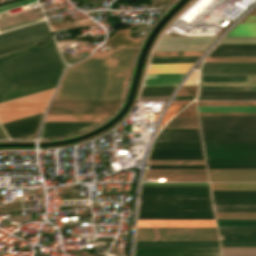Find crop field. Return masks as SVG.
Listing matches in <instances>:
<instances>
[{
    "instance_id": "obj_1",
    "label": "crop field",
    "mask_w": 256,
    "mask_h": 256,
    "mask_svg": "<svg viewBox=\"0 0 256 256\" xmlns=\"http://www.w3.org/2000/svg\"><path fill=\"white\" fill-rule=\"evenodd\" d=\"M136 46L94 52L71 66L53 99H121Z\"/></svg>"
},
{
    "instance_id": "obj_2",
    "label": "crop field",
    "mask_w": 256,
    "mask_h": 256,
    "mask_svg": "<svg viewBox=\"0 0 256 256\" xmlns=\"http://www.w3.org/2000/svg\"><path fill=\"white\" fill-rule=\"evenodd\" d=\"M67 64L55 42L0 57V102L55 88Z\"/></svg>"
},
{
    "instance_id": "obj_3",
    "label": "crop field",
    "mask_w": 256,
    "mask_h": 256,
    "mask_svg": "<svg viewBox=\"0 0 256 256\" xmlns=\"http://www.w3.org/2000/svg\"><path fill=\"white\" fill-rule=\"evenodd\" d=\"M47 22H39L0 35V54L53 41Z\"/></svg>"
},
{
    "instance_id": "obj_4",
    "label": "crop field",
    "mask_w": 256,
    "mask_h": 256,
    "mask_svg": "<svg viewBox=\"0 0 256 256\" xmlns=\"http://www.w3.org/2000/svg\"><path fill=\"white\" fill-rule=\"evenodd\" d=\"M55 89L0 104V124L44 112Z\"/></svg>"
},
{
    "instance_id": "obj_5",
    "label": "crop field",
    "mask_w": 256,
    "mask_h": 256,
    "mask_svg": "<svg viewBox=\"0 0 256 256\" xmlns=\"http://www.w3.org/2000/svg\"><path fill=\"white\" fill-rule=\"evenodd\" d=\"M136 240H218L215 228H137Z\"/></svg>"
},
{
    "instance_id": "obj_6",
    "label": "crop field",
    "mask_w": 256,
    "mask_h": 256,
    "mask_svg": "<svg viewBox=\"0 0 256 256\" xmlns=\"http://www.w3.org/2000/svg\"><path fill=\"white\" fill-rule=\"evenodd\" d=\"M119 100H52L47 114H110Z\"/></svg>"
},
{
    "instance_id": "obj_7",
    "label": "crop field",
    "mask_w": 256,
    "mask_h": 256,
    "mask_svg": "<svg viewBox=\"0 0 256 256\" xmlns=\"http://www.w3.org/2000/svg\"><path fill=\"white\" fill-rule=\"evenodd\" d=\"M206 159H256V143H203Z\"/></svg>"
},
{
    "instance_id": "obj_8",
    "label": "crop field",
    "mask_w": 256,
    "mask_h": 256,
    "mask_svg": "<svg viewBox=\"0 0 256 256\" xmlns=\"http://www.w3.org/2000/svg\"><path fill=\"white\" fill-rule=\"evenodd\" d=\"M203 142H256V129H201Z\"/></svg>"
},
{
    "instance_id": "obj_9",
    "label": "crop field",
    "mask_w": 256,
    "mask_h": 256,
    "mask_svg": "<svg viewBox=\"0 0 256 256\" xmlns=\"http://www.w3.org/2000/svg\"><path fill=\"white\" fill-rule=\"evenodd\" d=\"M134 256H220L219 248H135Z\"/></svg>"
},
{
    "instance_id": "obj_10",
    "label": "crop field",
    "mask_w": 256,
    "mask_h": 256,
    "mask_svg": "<svg viewBox=\"0 0 256 256\" xmlns=\"http://www.w3.org/2000/svg\"><path fill=\"white\" fill-rule=\"evenodd\" d=\"M200 74H256V62H204Z\"/></svg>"
},
{
    "instance_id": "obj_11",
    "label": "crop field",
    "mask_w": 256,
    "mask_h": 256,
    "mask_svg": "<svg viewBox=\"0 0 256 256\" xmlns=\"http://www.w3.org/2000/svg\"><path fill=\"white\" fill-rule=\"evenodd\" d=\"M144 178H165V181H207L205 170L148 169Z\"/></svg>"
},
{
    "instance_id": "obj_12",
    "label": "crop field",
    "mask_w": 256,
    "mask_h": 256,
    "mask_svg": "<svg viewBox=\"0 0 256 256\" xmlns=\"http://www.w3.org/2000/svg\"><path fill=\"white\" fill-rule=\"evenodd\" d=\"M154 142H201L198 129H163Z\"/></svg>"
},
{
    "instance_id": "obj_13",
    "label": "crop field",
    "mask_w": 256,
    "mask_h": 256,
    "mask_svg": "<svg viewBox=\"0 0 256 256\" xmlns=\"http://www.w3.org/2000/svg\"><path fill=\"white\" fill-rule=\"evenodd\" d=\"M137 227H215L214 220H138Z\"/></svg>"
},
{
    "instance_id": "obj_14",
    "label": "crop field",
    "mask_w": 256,
    "mask_h": 256,
    "mask_svg": "<svg viewBox=\"0 0 256 256\" xmlns=\"http://www.w3.org/2000/svg\"><path fill=\"white\" fill-rule=\"evenodd\" d=\"M247 75H202V77H246ZM256 78V75H249ZM202 81H246V78H202ZM256 81V79H249ZM246 83H202V85L245 86ZM248 86H256V83H248ZM245 87H202V90H244ZM248 90H256V87H248Z\"/></svg>"
},
{
    "instance_id": "obj_15",
    "label": "crop field",
    "mask_w": 256,
    "mask_h": 256,
    "mask_svg": "<svg viewBox=\"0 0 256 256\" xmlns=\"http://www.w3.org/2000/svg\"><path fill=\"white\" fill-rule=\"evenodd\" d=\"M210 181H256V170H208Z\"/></svg>"
},
{
    "instance_id": "obj_16",
    "label": "crop field",
    "mask_w": 256,
    "mask_h": 256,
    "mask_svg": "<svg viewBox=\"0 0 256 256\" xmlns=\"http://www.w3.org/2000/svg\"><path fill=\"white\" fill-rule=\"evenodd\" d=\"M214 203H256V191H212Z\"/></svg>"
},
{
    "instance_id": "obj_17",
    "label": "crop field",
    "mask_w": 256,
    "mask_h": 256,
    "mask_svg": "<svg viewBox=\"0 0 256 256\" xmlns=\"http://www.w3.org/2000/svg\"><path fill=\"white\" fill-rule=\"evenodd\" d=\"M135 247H219L218 241H136Z\"/></svg>"
},
{
    "instance_id": "obj_18",
    "label": "crop field",
    "mask_w": 256,
    "mask_h": 256,
    "mask_svg": "<svg viewBox=\"0 0 256 256\" xmlns=\"http://www.w3.org/2000/svg\"><path fill=\"white\" fill-rule=\"evenodd\" d=\"M138 219H214L213 213H139Z\"/></svg>"
},
{
    "instance_id": "obj_19",
    "label": "crop field",
    "mask_w": 256,
    "mask_h": 256,
    "mask_svg": "<svg viewBox=\"0 0 256 256\" xmlns=\"http://www.w3.org/2000/svg\"><path fill=\"white\" fill-rule=\"evenodd\" d=\"M185 73L147 74L144 86L178 85Z\"/></svg>"
},
{
    "instance_id": "obj_20",
    "label": "crop field",
    "mask_w": 256,
    "mask_h": 256,
    "mask_svg": "<svg viewBox=\"0 0 256 256\" xmlns=\"http://www.w3.org/2000/svg\"><path fill=\"white\" fill-rule=\"evenodd\" d=\"M140 38L130 37L129 29L117 30L116 33L107 39L106 44L118 49L126 46L138 44Z\"/></svg>"
},
{
    "instance_id": "obj_21",
    "label": "crop field",
    "mask_w": 256,
    "mask_h": 256,
    "mask_svg": "<svg viewBox=\"0 0 256 256\" xmlns=\"http://www.w3.org/2000/svg\"><path fill=\"white\" fill-rule=\"evenodd\" d=\"M192 64L193 63L150 64L147 73L187 72Z\"/></svg>"
},
{
    "instance_id": "obj_22",
    "label": "crop field",
    "mask_w": 256,
    "mask_h": 256,
    "mask_svg": "<svg viewBox=\"0 0 256 256\" xmlns=\"http://www.w3.org/2000/svg\"><path fill=\"white\" fill-rule=\"evenodd\" d=\"M107 115H47L45 121H100Z\"/></svg>"
},
{
    "instance_id": "obj_23",
    "label": "crop field",
    "mask_w": 256,
    "mask_h": 256,
    "mask_svg": "<svg viewBox=\"0 0 256 256\" xmlns=\"http://www.w3.org/2000/svg\"><path fill=\"white\" fill-rule=\"evenodd\" d=\"M198 112H256L249 106H197Z\"/></svg>"
},
{
    "instance_id": "obj_24",
    "label": "crop field",
    "mask_w": 256,
    "mask_h": 256,
    "mask_svg": "<svg viewBox=\"0 0 256 256\" xmlns=\"http://www.w3.org/2000/svg\"><path fill=\"white\" fill-rule=\"evenodd\" d=\"M212 190H256V183H210Z\"/></svg>"
},
{
    "instance_id": "obj_25",
    "label": "crop field",
    "mask_w": 256,
    "mask_h": 256,
    "mask_svg": "<svg viewBox=\"0 0 256 256\" xmlns=\"http://www.w3.org/2000/svg\"><path fill=\"white\" fill-rule=\"evenodd\" d=\"M209 57H256V50H213Z\"/></svg>"
},
{
    "instance_id": "obj_26",
    "label": "crop field",
    "mask_w": 256,
    "mask_h": 256,
    "mask_svg": "<svg viewBox=\"0 0 256 256\" xmlns=\"http://www.w3.org/2000/svg\"><path fill=\"white\" fill-rule=\"evenodd\" d=\"M85 128H42L39 138H50L77 132Z\"/></svg>"
},
{
    "instance_id": "obj_27",
    "label": "crop field",
    "mask_w": 256,
    "mask_h": 256,
    "mask_svg": "<svg viewBox=\"0 0 256 256\" xmlns=\"http://www.w3.org/2000/svg\"><path fill=\"white\" fill-rule=\"evenodd\" d=\"M165 128H199L197 118H173Z\"/></svg>"
},
{
    "instance_id": "obj_28",
    "label": "crop field",
    "mask_w": 256,
    "mask_h": 256,
    "mask_svg": "<svg viewBox=\"0 0 256 256\" xmlns=\"http://www.w3.org/2000/svg\"><path fill=\"white\" fill-rule=\"evenodd\" d=\"M177 86L143 87L141 96L172 95Z\"/></svg>"
},
{
    "instance_id": "obj_29",
    "label": "crop field",
    "mask_w": 256,
    "mask_h": 256,
    "mask_svg": "<svg viewBox=\"0 0 256 256\" xmlns=\"http://www.w3.org/2000/svg\"><path fill=\"white\" fill-rule=\"evenodd\" d=\"M226 36H256V24H238Z\"/></svg>"
},
{
    "instance_id": "obj_30",
    "label": "crop field",
    "mask_w": 256,
    "mask_h": 256,
    "mask_svg": "<svg viewBox=\"0 0 256 256\" xmlns=\"http://www.w3.org/2000/svg\"><path fill=\"white\" fill-rule=\"evenodd\" d=\"M200 56L152 57L150 63L195 62Z\"/></svg>"
},
{
    "instance_id": "obj_31",
    "label": "crop field",
    "mask_w": 256,
    "mask_h": 256,
    "mask_svg": "<svg viewBox=\"0 0 256 256\" xmlns=\"http://www.w3.org/2000/svg\"><path fill=\"white\" fill-rule=\"evenodd\" d=\"M97 122H44L42 127H89Z\"/></svg>"
},
{
    "instance_id": "obj_32",
    "label": "crop field",
    "mask_w": 256,
    "mask_h": 256,
    "mask_svg": "<svg viewBox=\"0 0 256 256\" xmlns=\"http://www.w3.org/2000/svg\"><path fill=\"white\" fill-rule=\"evenodd\" d=\"M216 219H256V213H215Z\"/></svg>"
},
{
    "instance_id": "obj_33",
    "label": "crop field",
    "mask_w": 256,
    "mask_h": 256,
    "mask_svg": "<svg viewBox=\"0 0 256 256\" xmlns=\"http://www.w3.org/2000/svg\"><path fill=\"white\" fill-rule=\"evenodd\" d=\"M218 226H256V220H216Z\"/></svg>"
},
{
    "instance_id": "obj_34",
    "label": "crop field",
    "mask_w": 256,
    "mask_h": 256,
    "mask_svg": "<svg viewBox=\"0 0 256 256\" xmlns=\"http://www.w3.org/2000/svg\"><path fill=\"white\" fill-rule=\"evenodd\" d=\"M200 95H256V91H200Z\"/></svg>"
},
{
    "instance_id": "obj_35",
    "label": "crop field",
    "mask_w": 256,
    "mask_h": 256,
    "mask_svg": "<svg viewBox=\"0 0 256 256\" xmlns=\"http://www.w3.org/2000/svg\"><path fill=\"white\" fill-rule=\"evenodd\" d=\"M221 247H256V241H220Z\"/></svg>"
},
{
    "instance_id": "obj_36",
    "label": "crop field",
    "mask_w": 256,
    "mask_h": 256,
    "mask_svg": "<svg viewBox=\"0 0 256 256\" xmlns=\"http://www.w3.org/2000/svg\"><path fill=\"white\" fill-rule=\"evenodd\" d=\"M207 164L256 165V160H206Z\"/></svg>"
},
{
    "instance_id": "obj_37",
    "label": "crop field",
    "mask_w": 256,
    "mask_h": 256,
    "mask_svg": "<svg viewBox=\"0 0 256 256\" xmlns=\"http://www.w3.org/2000/svg\"><path fill=\"white\" fill-rule=\"evenodd\" d=\"M140 194H210L209 191H141Z\"/></svg>"
},
{
    "instance_id": "obj_38",
    "label": "crop field",
    "mask_w": 256,
    "mask_h": 256,
    "mask_svg": "<svg viewBox=\"0 0 256 256\" xmlns=\"http://www.w3.org/2000/svg\"><path fill=\"white\" fill-rule=\"evenodd\" d=\"M220 43H256V37H224Z\"/></svg>"
},
{
    "instance_id": "obj_39",
    "label": "crop field",
    "mask_w": 256,
    "mask_h": 256,
    "mask_svg": "<svg viewBox=\"0 0 256 256\" xmlns=\"http://www.w3.org/2000/svg\"><path fill=\"white\" fill-rule=\"evenodd\" d=\"M141 190H209L208 187H142Z\"/></svg>"
},
{
    "instance_id": "obj_40",
    "label": "crop field",
    "mask_w": 256,
    "mask_h": 256,
    "mask_svg": "<svg viewBox=\"0 0 256 256\" xmlns=\"http://www.w3.org/2000/svg\"><path fill=\"white\" fill-rule=\"evenodd\" d=\"M148 164H205L204 161L148 160Z\"/></svg>"
},
{
    "instance_id": "obj_41",
    "label": "crop field",
    "mask_w": 256,
    "mask_h": 256,
    "mask_svg": "<svg viewBox=\"0 0 256 256\" xmlns=\"http://www.w3.org/2000/svg\"><path fill=\"white\" fill-rule=\"evenodd\" d=\"M204 51L154 52L152 56L202 55Z\"/></svg>"
},
{
    "instance_id": "obj_42",
    "label": "crop field",
    "mask_w": 256,
    "mask_h": 256,
    "mask_svg": "<svg viewBox=\"0 0 256 256\" xmlns=\"http://www.w3.org/2000/svg\"><path fill=\"white\" fill-rule=\"evenodd\" d=\"M149 168L205 169V165H149Z\"/></svg>"
},
{
    "instance_id": "obj_43",
    "label": "crop field",
    "mask_w": 256,
    "mask_h": 256,
    "mask_svg": "<svg viewBox=\"0 0 256 256\" xmlns=\"http://www.w3.org/2000/svg\"><path fill=\"white\" fill-rule=\"evenodd\" d=\"M142 186H208V183H143Z\"/></svg>"
},
{
    "instance_id": "obj_44",
    "label": "crop field",
    "mask_w": 256,
    "mask_h": 256,
    "mask_svg": "<svg viewBox=\"0 0 256 256\" xmlns=\"http://www.w3.org/2000/svg\"><path fill=\"white\" fill-rule=\"evenodd\" d=\"M197 105H250L256 106V102H196Z\"/></svg>"
},
{
    "instance_id": "obj_45",
    "label": "crop field",
    "mask_w": 256,
    "mask_h": 256,
    "mask_svg": "<svg viewBox=\"0 0 256 256\" xmlns=\"http://www.w3.org/2000/svg\"><path fill=\"white\" fill-rule=\"evenodd\" d=\"M208 169H256V166L241 165H207Z\"/></svg>"
},
{
    "instance_id": "obj_46",
    "label": "crop field",
    "mask_w": 256,
    "mask_h": 256,
    "mask_svg": "<svg viewBox=\"0 0 256 256\" xmlns=\"http://www.w3.org/2000/svg\"><path fill=\"white\" fill-rule=\"evenodd\" d=\"M180 105H170L163 120L162 123H165L167 120H169L173 115H175L179 109Z\"/></svg>"
},
{
    "instance_id": "obj_47",
    "label": "crop field",
    "mask_w": 256,
    "mask_h": 256,
    "mask_svg": "<svg viewBox=\"0 0 256 256\" xmlns=\"http://www.w3.org/2000/svg\"><path fill=\"white\" fill-rule=\"evenodd\" d=\"M197 86H182L177 95H196Z\"/></svg>"
},
{
    "instance_id": "obj_48",
    "label": "crop field",
    "mask_w": 256,
    "mask_h": 256,
    "mask_svg": "<svg viewBox=\"0 0 256 256\" xmlns=\"http://www.w3.org/2000/svg\"><path fill=\"white\" fill-rule=\"evenodd\" d=\"M205 61H256V58H207Z\"/></svg>"
},
{
    "instance_id": "obj_49",
    "label": "crop field",
    "mask_w": 256,
    "mask_h": 256,
    "mask_svg": "<svg viewBox=\"0 0 256 256\" xmlns=\"http://www.w3.org/2000/svg\"><path fill=\"white\" fill-rule=\"evenodd\" d=\"M36 1L37 0H23V1H20V2L12 3V4H9V5H5V6L0 7V11L15 8V7L22 6V5H25V4H29V3H32V2H36Z\"/></svg>"
},
{
    "instance_id": "obj_50",
    "label": "crop field",
    "mask_w": 256,
    "mask_h": 256,
    "mask_svg": "<svg viewBox=\"0 0 256 256\" xmlns=\"http://www.w3.org/2000/svg\"><path fill=\"white\" fill-rule=\"evenodd\" d=\"M199 115H256V113H198Z\"/></svg>"
},
{
    "instance_id": "obj_51",
    "label": "crop field",
    "mask_w": 256,
    "mask_h": 256,
    "mask_svg": "<svg viewBox=\"0 0 256 256\" xmlns=\"http://www.w3.org/2000/svg\"><path fill=\"white\" fill-rule=\"evenodd\" d=\"M38 21H42V18L36 19V20H33V21H29V22H25V23H22V24H18V25H15V26L7 27V28H4V29H0V32L6 31V30H9V29H13V28H17V27H20V26H24V25H27V24L35 23V22H38Z\"/></svg>"
},
{
    "instance_id": "obj_52",
    "label": "crop field",
    "mask_w": 256,
    "mask_h": 256,
    "mask_svg": "<svg viewBox=\"0 0 256 256\" xmlns=\"http://www.w3.org/2000/svg\"><path fill=\"white\" fill-rule=\"evenodd\" d=\"M192 100L172 101L171 104H188Z\"/></svg>"
},
{
    "instance_id": "obj_53",
    "label": "crop field",
    "mask_w": 256,
    "mask_h": 256,
    "mask_svg": "<svg viewBox=\"0 0 256 256\" xmlns=\"http://www.w3.org/2000/svg\"><path fill=\"white\" fill-rule=\"evenodd\" d=\"M59 18H61V17H59ZM59 18H53V19H49L48 21H50V20H54V19H59Z\"/></svg>"
},
{
    "instance_id": "obj_54",
    "label": "crop field",
    "mask_w": 256,
    "mask_h": 256,
    "mask_svg": "<svg viewBox=\"0 0 256 256\" xmlns=\"http://www.w3.org/2000/svg\"><path fill=\"white\" fill-rule=\"evenodd\" d=\"M3 256H15V255H3Z\"/></svg>"
},
{
    "instance_id": "obj_55",
    "label": "crop field",
    "mask_w": 256,
    "mask_h": 256,
    "mask_svg": "<svg viewBox=\"0 0 256 256\" xmlns=\"http://www.w3.org/2000/svg\"><path fill=\"white\" fill-rule=\"evenodd\" d=\"M85 222H90V221H85ZM77 223H83V222H77Z\"/></svg>"
},
{
    "instance_id": "obj_56",
    "label": "crop field",
    "mask_w": 256,
    "mask_h": 256,
    "mask_svg": "<svg viewBox=\"0 0 256 256\" xmlns=\"http://www.w3.org/2000/svg\"><path fill=\"white\" fill-rule=\"evenodd\" d=\"M92 1H101V0H92Z\"/></svg>"
}]
</instances>
